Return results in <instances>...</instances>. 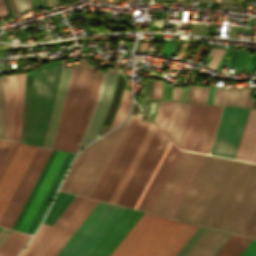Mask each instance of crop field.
Returning a JSON list of instances; mask_svg holds the SVG:
<instances>
[{
    "instance_id": "6",
    "label": "crop field",
    "mask_w": 256,
    "mask_h": 256,
    "mask_svg": "<svg viewBox=\"0 0 256 256\" xmlns=\"http://www.w3.org/2000/svg\"><path fill=\"white\" fill-rule=\"evenodd\" d=\"M61 61L35 69L25 142L43 145L59 77Z\"/></svg>"
},
{
    "instance_id": "8",
    "label": "crop field",
    "mask_w": 256,
    "mask_h": 256,
    "mask_svg": "<svg viewBox=\"0 0 256 256\" xmlns=\"http://www.w3.org/2000/svg\"><path fill=\"white\" fill-rule=\"evenodd\" d=\"M51 150L37 147L1 219L0 226L12 228Z\"/></svg>"
},
{
    "instance_id": "29",
    "label": "crop field",
    "mask_w": 256,
    "mask_h": 256,
    "mask_svg": "<svg viewBox=\"0 0 256 256\" xmlns=\"http://www.w3.org/2000/svg\"><path fill=\"white\" fill-rule=\"evenodd\" d=\"M137 123H138V120L133 119V121H132V123H131L129 129L127 130V132H126V134H125L123 140L121 141V143H120V145H119L117 151L115 152V154H114V156H113V158H112L110 164L108 165V167H107V169H106L104 175L102 176V178H101V180H100L98 186L96 187V189H95V191H94V193H93V195H92V198L97 199V197H98V195H99L101 189L103 188V186H104V184H105L107 178L109 177V175H110V173H111L113 167L115 166V164H116V162H117V160H118L120 154L122 153V151H123V149H124L126 143L128 142V140H129V138H130L132 132L134 131V129H135Z\"/></svg>"
},
{
    "instance_id": "21",
    "label": "crop field",
    "mask_w": 256,
    "mask_h": 256,
    "mask_svg": "<svg viewBox=\"0 0 256 256\" xmlns=\"http://www.w3.org/2000/svg\"><path fill=\"white\" fill-rule=\"evenodd\" d=\"M235 158L256 162V110L254 109L249 110Z\"/></svg>"
},
{
    "instance_id": "42",
    "label": "crop field",
    "mask_w": 256,
    "mask_h": 256,
    "mask_svg": "<svg viewBox=\"0 0 256 256\" xmlns=\"http://www.w3.org/2000/svg\"><path fill=\"white\" fill-rule=\"evenodd\" d=\"M50 225L42 223L41 227L35 234L34 238L28 245V247L25 249V251L21 254V256H27V254L31 251V249L36 245V243L40 240V238L44 235V233L49 229Z\"/></svg>"
},
{
    "instance_id": "34",
    "label": "crop field",
    "mask_w": 256,
    "mask_h": 256,
    "mask_svg": "<svg viewBox=\"0 0 256 256\" xmlns=\"http://www.w3.org/2000/svg\"><path fill=\"white\" fill-rule=\"evenodd\" d=\"M25 237L26 234L12 231L0 248V256H11Z\"/></svg>"
},
{
    "instance_id": "57",
    "label": "crop field",
    "mask_w": 256,
    "mask_h": 256,
    "mask_svg": "<svg viewBox=\"0 0 256 256\" xmlns=\"http://www.w3.org/2000/svg\"><path fill=\"white\" fill-rule=\"evenodd\" d=\"M198 91H199V87H198V86H195L192 102L197 103V99H198Z\"/></svg>"
},
{
    "instance_id": "20",
    "label": "crop field",
    "mask_w": 256,
    "mask_h": 256,
    "mask_svg": "<svg viewBox=\"0 0 256 256\" xmlns=\"http://www.w3.org/2000/svg\"><path fill=\"white\" fill-rule=\"evenodd\" d=\"M66 153L58 151L49 171L47 172L39 190L37 191L28 211L26 212L18 230L26 232L35 212L37 211L45 193L47 192L56 172L58 171Z\"/></svg>"
},
{
    "instance_id": "13",
    "label": "crop field",
    "mask_w": 256,
    "mask_h": 256,
    "mask_svg": "<svg viewBox=\"0 0 256 256\" xmlns=\"http://www.w3.org/2000/svg\"><path fill=\"white\" fill-rule=\"evenodd\" d=\"M230 235L199 226L175 256H214Z\"/></svg>"
},
{
    "instance_id": "52",
    "label": "crop field",
    "mask_w": 256,
    "mask_h": 256,
    "mask_svg": "<svg viewBox=\"0 0 256 256\" xmlns=\"http://www.w3.org/2000/svg\"><path fill=\"white\" fill-rule=\"evenodd\" d=\"M11 233V230L3 229L0 230V246L3 244L5 239L8 237V235Z\"/></svg>"
},
{
    "instance_id": "37",
    "label": "crop field",
    "mask_w": 256,
    "mask_h": 256,
    "mask_svg": "<svg viewBox=\"0 0 256 256\" xmlns=\"http://www.w3.org/2000/svg\"><path fill=\"white\" fill-rule=\"evenodd\" d=\"M203 157H204V155L199 154V156H198V158H197V160H196L194 166L192 167V169H191V171H190V173H189L187 179L185 180V182H184V184H183L181 190L179 191V193H178V195H177V197H176L174 203L172 204V206H171V208H170V210H169V212H168V214H167L168 217H171V215H172L174 209L176 208V206H177L179 200L181 199V197H182L184 191L186 190V188H187L189 182L191 181V179H192L194 173L196 172V170H197L199 164L201 163ZM165 216H166V215H165Z\"/></svg>"
},
{
    "instance_id": "54",
    "label": "crop field",
    "mask_w": 256,
    "mask_h": 256,
    "mask_svg": "<svg viewBox=\"0 0 256 256\" xmlns=\"http://www.w3.org/2000/svg\"><path fill=\"white\" fill-rule=\"evenodd\" d=\"M194 86H188L186 101L191 102Z\"/></svg>"
},
{
    "instance_id": "22",
    "label": "crop field",
    "mask_w": 256,
    "mask_h": 256,
    "mask_svg": "<svg viewBox=\"0 0 256 256\" xmlns=\"http://www.w3.org/2000/svg\"><path fill=\"white\" fill-rule=\"evenodd\" d=\"M156 127H157V126H156L155 124L151 123V125H150V127H149V129H148V131H147V133H146V135L144 136V138H143V140H142V142H141L139 148L137 149V151H136V153H135V155H134V157H133L131 163L129 164V166H128V168H127V170H126L124 176L122 177V179H121V181H120V183H119L117 189L115 190V192H114V194H113V196H112L110 202L116 203V201H117V199H118L120 193L122 192V190H123V188H124L126 182L128 181V179H129V177H130L132 171L134 170V168H135V166H136L138 160L140 159V157H141V155H142L144 149L146 148V146H147V144H148L150 138L152 137V135H153V133H154ZM158 129H159V128L157 127V129H156V131H155L153 137L151 138V140H150V142H149L147 148L145 149V151H144V153H143L141 159L139 160V162H138V164H137L135 170L133 171V173H132V175H131L129 181L127 182V184H126V186H125L123 192L121 193V195H120V197H119V199H118V201H117V204H118V202H119L121 196L123 195V193H124V191H125L127 185L129 184V182H130L132 176L134 175V173H135L137 167L139 166V164H140L142 158L144 157V155H145V153H146L148 147L150 146V144H151L153 138L155 137V135H156Z\"/></svg>"
},
{
    "instance_id": "7",
    "label": "crop field",
    "mask_w": 256,
    "mask_h": 256,
    "mask_svg": "<svg viewBox=\"0 0 256 256\" xmlns=\"http://www.w3.org/2000/svg\"><path fill=\"white\" fill-rule=\"evenodd\" d=\"M132 119L91 144L67 191L91 197Z\"/></svg>"
},
{
    "instance_id": "45",
    "label": "crop field",
    "mask_w": 256,
    "mask_h": 256,
    "mask_svg": "<svg viewBox=\"0 0 256 256\" xmlns=\"http://www.w3.org/2000/svg\"><path fill=\"white\" fill-rule=\"evenodd\" d=\"M223 52H224L223 49H219V48L216 49V51H215V53H214V55H213L209 65H208L209 68L215 69V67H216L219 59L221 58Z\"/></svg>"
},
{
    "instance_id": "9",
    "label": "crop field",
    "mask_w": 256,
    "mask_h": 256,
    "mask_svg": "<svg viewBox=\"0 0 256 256\" xmlns=\"http://www.w3.org/2000/svg\"><path fill=\"white\" fill-rule=\"evenodd\" d=\"M248 110L224 107L210 154L235 157Z\"/></svg>"
},
{
    "instance_id": "61",
    "label": "crop field",
    "mask_w": 256,
    "mask_h": 256,
    "mask_svg": "<svg viewBox=\"0 0 256 256\" xmlns=\"http://www.w3.org/2000/svg\"><path fill=\"white\" fill-rule=\"evenodd\" d=\"M215 4H219V0H215Z\"/></svg>"
},
{
    "instance_id": "63",
    "label": "crop field",
    "mask_w": 256,
    "mask_h": 256,
    "mask_svg": "<svg viewBox=\"0 0 256 256\" xmlns=\"http://www.w3.org/2000/svg\"><path fill=\"white\" fill-rule=\"evenodd\" d=\"M185 1H188V0H185Z\"/></svg>"
},
{
    "instance_id": "11",
    "label": "crop field",
    "mask_w": 256,
    "mask_h": 256,
    "mask_svg": "<svg viewBox=\"0 0 256 256\" xmlns=\"http://www.w3.org/2000/svg\"><path fill=\"white\" fill-rule=\"evenodd\" d=\"M36 147L19 143L0 180V217L24 173Z\"/></svg>"
},
{
    "instance_id": "30",
    "label": "crop field",
    "mask_w": 256,
    "mask_h": 256,
    "mask_svg": "<svg viewBox=\"0 0 256 256\" xmlns=\"http://www.w3.org/2000/svg\"><path fill=\"white\" fill-rule=\"evenodd\" d=\"M251 240V238L232 234L215 256H239Z\"/></svg>"
},
{
    "instance_id": "56",
    "label": "crop field",
    "mask_w": 256,
    "mask_h": 256,
    "mask_svg": "<svg viewBox=\"0 0 256 256\" xmlns=\"http://www.w3.org/2000/svg\"><path fill=\"white\" fill-rule=\"evenodd\" d=\"M30 236L27 235V237L24 239V241L21 243V245L18 247V249L15 251V253L12 256H16L18 252L22 249V247L26 244Z\"/></svg>"
},
{
    "instance_id": "10",
    "label": "crop field",
    "mask_w": 256,
    "mask_h": 256,
    "mask_svg": "<svg viewBox=\"0 0 256 256\" xmlns=\"http://www.w3.org/2000/svg\"><path fill=\"white\" fill-rule=\"evenodd\" d=\"M169 141L170 140L159 129L150 148L148 149L135 175L133 176L124 195L122 196L119 202L120 205L134 208Z\"/></svg>"
},
{
    "instance_id": "23",
    "label": "crop field",
    "mask_w": 256,
    "mask_h": 256,
    "mask_svg": "<svg viewBox=\"0 0 256 256\" xmlns=\"http://www.w3.org/2000/svg\"><path fill=\"white\" fill-rule=\"evenodd\" d=\"M191 104L175 102L165 133L178 145Z\"/></svg>"
},
{
    "instance_id": "59",
    "label": "crop field",
    "mask_w": 256,
    "mask_h": 256,
    "mask_svg": "<svg viewBox=\"0 0 256 256\" xmlns=\"http://www.w3.org/2000/svg\"><path fill=\"white\" fill-rule=\"evenodd\" d=\"M15 3H16V6H17V9H18V12L20 13L21 11H20V8H19V6H18V4H17V0H15Z\"/></svg>"
},
{
    "instance_id": "24",
    "label": "crop field",
    "mask_w": 256,
    "mask_h": 256,
    "mask_svg": "<svg viewBox=\"0 0 256 256\" xmlns=\"http://www.w3.org/2000/svg\"><path fill=\"white\" fill-rule=\"evenodd\" d=\"M72 156H73V154L67 153V155H66V157H65V159H64V161H63V163H62V165H61V167L58 171V173L56 174L48 192L46 193V195H45L37 213L35 214L32 222L29 226V228L27 230V233L32 234L33 231L38 226L39 222L41 221V219H42V217H43V215H44V213H45V211H46V209H47V207H48V205H49V203H50V201H51V199H52V197H53V195H54V193H55V191H56V189H57V187L60 183V180H61V178L63 176V173L66 169V166H67V164H68V162H69V160L71 159Z\"/></svg>"
},
{
    "instance_id": "44",
    "label": "crop field",
    "mask_w": 256,
    "mask_h": 256,
    "mask_svg": "<svg viewBox=\"0 0 256 256\" xmlns=\"http://www.w3.org/2000/svg\"><path fill=\"white\" fill-rule=\"evenodd\" d=\"M240 256H256V240L253 239L252 242L247 246Z\"/></svg>"
},
{
    "instance_id": "32",
    "label": "crop field",
    "mask_w": 256,
    "mask_h": 256,
    "mask_svg": "<svg viewBox=\"0 0 256 256\" xmlns=\"http://www.w3.org/2000/svg\"><path fill=\"white\" fill-rule=\"evenodd\" d=\"M125 80H126V78H122V77H118V79H117L113 99H112V102L110 104V107L108 109V112H107L106 117H105L104 122H103L104 125L110 126V124L112 122V119L114 117V114L116 112V109H117L118 104H119L120 99H121V95H122V91H123V88H124Z\"/></svg>"
},
{
    "instance_id": "49",
    "label": "crop field",
    "mask_w": 256,
    "mask_h": 256,
    "mask_svg": "<svg viewBox=\"0 0 256 256\" xmlns=\"http://www.w3.org/2000/svg\"><path fill=\"white\" fill-rule=\"evenodd\" d=\"M208 87H200L198 103H206Z\"/></svg>"
},
{
    "instance_id": "4",
    "label": "crop field",
    "mask_w": 256,
    "mask_h": 256,
    "mask_svg": "<svg viewBox=\"0 0 256 256\" xmlns=\"http://www.w3.org/2000/svg\"><path fill=\"white\" fill-rule=\"evenodd\" d=\"M102 74L81 61L73 67L53 148L75 152L96 102Z\"/></svg>"
},
{
    "instance_id": "60",
    "label": "crop field",
    "mask_w": 256,
    "mask_h": 256,
    "mask_svg": "<svg viewBox=\"0 0 256 256\" xmlns=\"http://www.w3.org/2000/svg\"><path fill=\"white\" fill-rule=\"evenodd\" d=\"M26 2H27V5H28V8L30 10L31 6H30V3H29V0H26Z\"/></svg>"
},
{
    "instance_id": "25",
    "label": "crop field",
    "mask_w": 256,
    "mask_h": 256,
    "mask_svg": "<svg viewBox=\"0 0 256 256\" xmlns=\"http://www.w3.org/2000/svg\"><path fill=\"white\" fill-rule=\"evenodd\" d=\"M83 197L76 196L75 199L70 203V205L65 209L61 216L56 220L52 227L47 231V233L42 237L38 244L33 248L28 256H37L41 250L46 246L50 239L55 235V233L60 229L64 222L69 218L73 211L78 207V205L83 201Z\"/></svg>"
},
{
    "instance_id": "17",
    "label": "crop field",
    "mask_w": 256,
    "mask_h": 256,
    "mask_svg": "<svg viewBox=\"0 0 256 256\" xmlns=\"http://www.w3.org/2000/svg\"><path fill=\"white\" fill-rule=\"evenodd\" d=\"M97 202V200L85 198L38 256H55Z\"/></svg>"
},
{
    "instance_id": "39",
    "label": "crop field",
    "mask_w": 256,
    "mask_h": 256,
    "mask_svg": "<svg viewBox=\"0 0 256 256\" xmlns=\"http://www.w3.org/2000/svg\"><path fill=\"white\" fill-rule=\"evenodd\" d=\"M130 105H131L130 97L123 95L110 129L124 120L130 108Z\"/></svg>"
},
{
    "instance_id": "19",
    "label": "crop field",
    "mask_w": 256,
    "mask_h": 256,
    "mask_svg": "<svg viewBox=\"0 0 256 256\" xmlns=\"http://www.w3.org/2000/svg\"><path fill=\"white\" fill-rule=\"evenodd\" d=\"M71 70L72 69H65V61H62V71H61L60 83H59L55 103L53 106L50 122L48 125V129H47V133H46V137H45V141H44V145H43L45 147L52 148V146H53V142H54V138H55V134H56V130H57V126H58V122H59V118H60V114H61V110H62V106H63V102H64V98H65V94H66V90H67V86H68V82H69V78H70V74H71Z\"/></svg>"
},
{
    "instance_id": "40",
    "label": "crop field",
    "mask_w": 256,
    "mask_h": 256,
    "mask_svg": "<svg viewBox=\"0 0 256 256\" xmlns=\"http://www.w3.org/2000/svg\"><path fill=\"white\" fill-rule=\"evenodd\" d=\"M0 138L5 139L4 76L0 77Z\"/></svg>"
},
{
    "instance_id": "1",
    "label": "crop field",
    "mask_w": 256,
    "mask_h": 256,
    "mask_svg": "<svg viewBox=\"0 0 256 256\" xmlns=\"http://www.w3.org/2000/svg\"><path fill=\"white\" fill-rule=\"evenodd\" d=\"M256 205V164L233 160L199 224L240 234Z\"/></svg>"
},
{
    "instance_id": "3",
    "label": "crop field",
    "mask_w": 256,
    "mask_h": 256,
    "mask_svg": "<svg viewBox=\"0 0 256 256\" xmlns=\"http://www.w3.org/2000/svg\"><path fill=\"white\" fill-rule=\"evenodd\" d=\"M197 227L144 212L109 256H174Z\"/></svg>"
},
{
    "instance_id": "27",
    "label": "crop field",
    "mask_w": 256,
    "mask_h": 256,
    "mask_svg": "<svg viewBox=\"0 0 256 256\" xmlns=\"http://www.w3.org/2000/svg\"><path fill=\"white\" fill-rule=\"evenodd\" d=\"M203 105L192 104L178 147L189 150Z\"/></svg>"
},
{
    "instance_id": "31",
    "label": "crop field",
    "mask_w": 256,
    "mask_h": 256,
    "mask_svg": "<svg viewBox=\"0 0 256 256\" xmlns=\"http://www.w3.org/2000/svg\"><path fill=\"white\" fill-rule=\"evenodd\" d=\"M74 197L72 194L58 192L44 223L52 225Z\"/></svg>"
},
{
    "instance_id": "62",
    "label": "crop field",
    "mask_w": 256,
    "mask_h": 256,
    "mask_svg": "<svg viewBox=\"0 0 256 256\" xmlns=\"http://www.w3.org/2000/svg\"><path fill=\"white\" fill-rule=\"evenodd\" d=\"M189 1H192V0H189Z\"/></svg>"
},
{
    "instance_id": "14",
    "label": "crop field",
    "mask_w": 256,
    "mask_h": 256,
    "mask_svg": "<svg viewBox=\"0 0 256 256\" xmlns=\"http://www.w3.org/2000/svg\"><path fill=\"white\" fill-rule=\"evenodd\" d=\"M197 156V153L184 151L163 192L156 202L152 213L164 216L167 214Z\"/></svg>"
},
{
    "instance_id": "26",
    "label": "crop field",
    "mask_w": 256,
    "mask_h": 256,
    "mask_svg": "<svg viewBox=\"0 0 256 256\" xmlns=\"http://www.w3.org/2000/svg\"><path fill=\"white\" fill-rule=\"evenodd\" d=\"M25 73L15 75L13 140L19 141Z\"/></svg>"
},
{
    "instance_id": "43",
    "label": "crop field",
    "mask_w": 256,
    "mask_h": 256,
    "mask_svg": "<svg viewBox=\"0 0 256 256\" xmlns=\"http://www.w3.org/2000/svg\"><path fill=\"white\" fill-rule=\"evenodd\" d=\"M224 92H225L224 88L216 87L213 104L223 105Z\"/></svg>"
},
{
    "instance_id": "15",
    "label": "crop field",
    "mask_w": 256,
    "mask_h": 256,
    "mask_svg": "<svg viewBox=\"0 0 256 256\" xmlns=\"http://www.w3.org/2000/svg\"><path fill=\"white\" fill-rule=\"evenodd\" d=\"M149 125V122L139 121L135 131L133 132L123 153L121 154L116 166L114 167L98 199L109 202L114 190L116 189L121 177L123 176L129 162L131 161Z\"/></svg>"
},
{
    "instance_id": "58",
    "label": "crop field",
    "mask_w": 256,
    "mask_h": 256,
    "mask_svg": "<svg viewBox=\"0 0 256 256\" xmlns=\"http://www.w3.org/2000/svg\"><path fill=\"white\" fill-rule=\"evenodd\" d=\"M18 3L20 5V7H21L22 12L28 10L25 0H18Z\"/></svg>"
},
{
    "instance_id": "50",
    "label": "crop field",
    "mask_w": 256,
    "mask_h": 256,
    "mask_svg": "<svg viewBox=\"0 0 256 256\" xmlns=\"http://www.w3.org/2000/svg\"><path fill=\"white\" fill-rule=\"evenodd\" d=\"M252 91H253V89L246 88L244 107L251 108L252 98H251L250 94L252 93Z\"/></svg>"
},
{
    "instance_id": "18",
    "label": "crop field",
    "mask_w": 256,
    "mask_h": 256,
    "mask_svg": "<svg viewBox=\"0 0 256 256\" xmlns=\"http://www.w3.org/2000/svg\"><path fill=\"white\" fill-rule=\"evenodd\" d=\"M222 107L204 105L190 150L209 152Z\"/></svg>"
},
{
    "instance_id": "41",
    "label": "crop field",
    "mask_w": 256,
    "mask_h": 256,
    "mask_svg": "<svg viewBox=\"0 0 256 256\" xmlns=\"http://www.w3.org/2000/svg\"><path fill=\"white\" fill-rule=\"evenodd\" d=\"M241 234L256 237V207L249 220L247 221L245 227L243 228Z\"/></svg>"
},
{
    "instance_id": "55",
    "label": "crop field",
    "mask_w": 256,
    "mask_h": 256,
    "mask_svg": "<svg viewBox=\"0 0 256 256\" xmlns=\"http://www.w3.org/2000/svg\"><path fill=\"white\" fill-rule=\"evenodd\" d=\"M8 4H9L11 14L17 13V9L13 3V0H8Z\"/></svg>"
},
{
    "instance_id": "33",
    "label": "crop field",
    "mask_w": 256,
    "mask_h": 256,
    "mask_svg": "<svg viewBox=\"0 0 256 256\" xmlns=\"http://www.w3.org/2000/svg\"><path fill=\"white\" fill-rule=\"evenodd\" d=\"M56 153H57V151L52 150V152H51V154H50V156H49V158H48V160H47V162H46V164H45V166H44V168H43V170H42V172H41V174H40V176H39V178H38V180H37V182H36V184L34 186V188L32 189V191H31V193H30V195H29V197H28V199H27V201H26V203H25V205H24V207H23V209H22V211H21V213H20V215H19V217H18L14 227H13L14 230L17 229V227H18V225H19L23 215L25 214V212H26V210H27V208H28L32 198L34 197V195H35V193H36L40 183L42 182V180H43V178H44V176H45L49 166L51 165V163H52Z\"/></svg>"
},
{
    "instance_id": "53",
    "label": "crop field",
    "mask_w": 256,
    "mask_h": 256,
    "mask_svg": "<svg viewBox=\"0 0 256 256\" xmlns=\"http://www.w3.org/2000/svg\"><path fill=\"white\" fill-rule=\"evenodd\" d=\"M205 49V46H202L200 45L197 53L195 54L193 60H192V63L196 64L197 60L199 59L200 55L202 54V52L204 51Z\"/></svg>"
},
{
    "instance_id": "47",
    "label": "crop field",
    "mask_w": 256,
    "mask_h": 256,
    "mask_svg": "<svg viewBox=\"0 0 256 256\" xmlns=\"http://www.w3.org/2000/svg\"><path fill=\"white\" fill-rule=\"evenodd\" d=\"M153 83H154V80H149V79L147 80L146 96H145V102H144V107H143V110L146 113H148L147 110H146V104H147L148 99L152 95Z\"/></svg>"
},
{
    "instance_id": "46",
    "label": "crop field",
    "mask_w": 256,
    "mask_h": 256,
    "mask_svg": "<svg viewBox=\"0 0 256 256\" xmlns=\"http://www.w3.org/2000/svg\"><path fill=\"white\" fill-rule=\"evenodd\" d=\"M171 143H172V142L170 141V143H169V145H168V147H167L166 151L164 152V154H163V156H162V158H161L160 162L158 163V165H157V167H156V169H155L154 173L152 174V176H151V178H150V180H149V182H148L147 186L145 187V189H144V191H143V193H142L141 197L139 198V200H138V202H137V204H136V206H135V209H137V207H138V205H139V203H140V201H141L142 197L144 196V194H145V192H146V190H147V188H148L149 184L151 183V181H152V179H153V177H154V175H155V173H156L157 169L159 168V166H160V164H161V162H162V160H163L164 156L166 155V153H167V151H168V149H169V147H170Z\"/></svg>"
},
{
    "instance_id": "51",
    "label": "crop field",
    "mask_w": 256,
    "mask_h": 256,
    "mask_svg": "<svg viewBox=\"0 0 256 256\" xmlns=\"http://www.w3.org/2000/svg\"><path fill=\"white\" fill-rule=\"evenodd\" d=\"M182 87H173L172 100L180 101Z\"/></svg>"
},
{
    "instance_id": "28",
    "label": "crop field",
    "mask_w": 256,
    "mask_h": 256,
    "mask_svg": "<svg viewBox=\"0 0 256 256\" xmlns=\"http://www.w3.org/2000/svg\"><path fill=\"white\" fill-rule=\"evenodd\" d=\"M14 75L5 76L6 139L12 140Z\"/></svg>"
},
{
    "instance_id": "16",
    "label": "crop field",
    "mask_w": 256,
    "mask_h": 256,
    "mask_svg": "<svg viewBox=\"0 0 256 256\" xmlns=\"http://www.w3.org/2000/svg\"><path fill=\"white\" fill-rule=\"evenodd\" d=\"M182 153L183 151L178 150L172 143L138 209L151 212Z\"/></svg>"
},
{
    "instance_id": "35",
    "label": "crop field",
    "mask_w": 256,
    "mask_h": 256,
    "mask_svg": "<svg viewBox=\"0 0 256 256\" xmlns=\"http://www.w3.org/2000/svg\"><path fill=\"white\" fill-rule=\"evenodd\" d=\"M2 143H3V141H1L0 147H1ZM8 144H9V141H4V143H3V145H2V147L0 149V160H1V158H2V156L4 154V152H5ZM17 145H18V143L10 142V144H9V146H8V148H7L5 154H4V156H3V158H2V160L0 162V178H1V176H2V174L4 172V170H5L8 162L10 161V159H11V157H12V155H13L16 147H17Z\"/></svg>"
},
{
    "instance_id": "5",
    "label": "crop field",
    "mask_w": 256,
    "mask_h": 256,
    "mask_svg": "<svg viewBox=\"0 0 256 256\" xmlns=\"http://www.w3.org/2000/svg\"><path fill=\"white\" fill-rule=\"evenodd\" d=\"M231 162L205 155L172 217L198 224Z\"/></svg>"
},
{
    "instance_id": "48",
    "label": "crop field",
    "mask_w": 256,
    "mask_h": 256,
    "mask_svg": "<svg viewBox=\"0 0 256 256\" xmlns=\"http://www.w3.org/2000/svg\"><path fill=\"white\" fill-rule=\"evenodd\" d=\"M161 86H162V81L160 80L155 81L152 98L160 99Z\"/></svg>"
},
{
    "instance_id": "64",
    "label": "crop field",
    "mask_w": 256,
    "mask_h": 256,
    "mask_svg": "<svg viewBox=\"0 0 256 256\" xmlns=\"http://www.w3.org/2000/svg\"><path fill=\"white\" fill-rule=\"evenodd\" d=\"M1 141V140H0Z\"/></svg>"
},
{
    "instance_id": "38",
    "label": "crop field",
    "mask_w": 256,
    "mask_h": 256,
    "mask_svg": "<svg viewBox=\"0 0 256 256\" xmlns=\"http://www.w3.org/2000/svg\"><path fill=\"white\" fill-rule=\"evenodd\" d=\"M173 103L174 102H170V101L161 102L156 123L163 131H165Z\"/></svg>"
},
{
    "instance_id": "12",
    "label": "crop field",
    "mask_w": 256,
    "mask_h": 256,
    "mask_svg": "<svg viewBox=\"0 0 256 256\" xmlns=\"http://www.w3.org/2000/svg\"><path fill=\"white\" fill-rule=\"evenodd\" d=\"M118 70L119 69L110 68L107 74L103 75L95 108L77 151L97 137L101 123L111 102Z\"/></svg>"
},
{
    "instance_id": "36",
    "label": "crop field",
    "mask_w": 256,
    "mask_h": 256,
    "mask_svg": "<svg viewBox=\"0 0 256 256\" xmlns=\"http://www.w3.org/2000/svg\"><path fill=\"white\" fill-rule=\"evenodd\" d=\"M245 88H227L225 105L243 107Z\"/></svg>"
},
{
    "instance_id": "2",
    "label": "crop field",
    "mask_w": 256,
    "mask_h": 256,
    "mask_svg": "<svg viewBox=\"0 0 256 256\" xmlns=\"http://www.w3.org/2000/svg\"><path fill=\"white\" fill-rule=\"evenodd\" d=\"M142 213L99 201L56 256H108Z\"/></svg>"
}]
</instances>
